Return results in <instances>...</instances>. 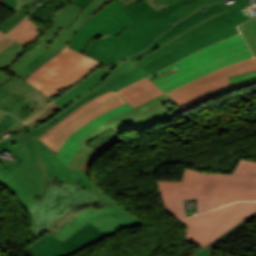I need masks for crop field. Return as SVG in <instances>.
Listing matches in <instances>:
<instances>
[{"label":"crop field","mask_w":256,"mask_h":256,"mask_svg":"<svg viewBox=\"0 0 256 256\" xmlns=\"http://www.w3.org/2000/svg\"><path fill=\"white\" fill-rule=\"evenodd\" d=\"M13 136L28 154H34L43 177L39 201L26 208L32 220L33 237L38 238L47 231L55 236L81 211L90 207L98 210L114 203L104 191L89 182L87 172L68 168L27 129Z\"/></svg>","instance_id":"8a807250"},{"label":"crop field","mask_w":256,"mask_h":256,"mask_svg":"<svg viewBox=\"0 0 256 256\" xmlns=\"http://www.w3.org/2000/svg\"><path fill=\"white\" fill-rule=\"evenodd\" d=\"M256 162L239 159L231 174L185 169L181 182L157 181L163 204L177 219L186 217L183 200L198 199V213L234 201H256Z\"/></svg>","instance_id":"ac0d7876"},{"label":"crop field","mask_w":256,"mask_h":256,"mask_svg":"<svg viewBox=\"0 0 256 256\" xmlns=\"http://www.w3.org/2000/svg\"><path fill=\"white\" fill-rule=\"evenodd\" d=\"M252 57L241 34L213 44L177 62L183 69L154 81L168 92L212 70Z\"/></svg>","instance_id":"34b2d1b8"},{"label":"crop field","mask_w":256,"mask_h":256,"mask_svg":"<svg viewBox=\"0 0 256 256\" xmlns=\"http://www.w3.org/2000/svg\"><path fill=\"white\" fill-rule=\"evenodd\" d=\"M172 25L174 24L168 18L137 19L118 37L108 33L101 39L94 40L85 54L109 65L141 52Z\"/></svg>","instance_id":"412701ff"},{"label":"crop field","mask_w":256,"mask_h":256,"mask_svg":"<svg viewBox=\"0 0 256 256\" xmlns=\"http://www.w3.org/2000/svg\"><path fill=\"white\" fill-rule=\"evenodd\" d=\"M239 33L227 11L189 29L164 45L169 50L143 67L149 74L205 46Z\"/></svg>","instance_id":"f4fd0767"},{"label":"crop field","mask_w":256,"mask_h":256,"mask_svg":"<svg viewBox=\"0 0 256 256\" xmlns=\"http://www.w3.org/2000/svg\"><path fill=\"white\" fill-rule=\"evenodd\" d=\"M98 64V61L65 47L30 75L27 82L49 97L73 84Z\"/></svg>","instance_id":"dd49c442"},{"label":"crop field","mask_w":256,"mask_h":256,"mask_svg":"<svg viewBox=\"0 0 256 256\" xmlns=\"http://www.w3.org/2000/svg\"><path fill=\"white\" fill-rule=\"evenodd\" d=\"M254 210L256 202H238L178 222L186 227L187 241L203 247Z\"/></svg>","instance_id":"e52e79f7"},{"label":"crop field","mask_w":256,"mask_h":256,"mask_svg":"<svg viewBox=\"0 0 256 256\" xmlns=\"http://www.w3.org/2000/svg\"><path fill=\"white\" fill-rule=\"evenodd\" d=\"M166 50L168 49L162 46L160 49H158L157 51H155L154 53H152L151 55L147 56L146 58H144L143 60L139 61L134 65L125 60L113 71H111L110 74L98 87L84 94L83 96L72 102L69 106H67V108L63 110L61 113L57 114L44 124L32 129L29 133L32 134L34 137L38 138L40 135L47 132L59 121H61L64 117H66L68 114L82 106L88 100L98 97L105 92L116 91L123 86H126L146 75H149L140 67H142L144 63L156 58Z\"/></svg>","instance_id":"d8731c3e"},{"label":"crop field","mask_w":256,"mask_h":256,"mask_svg":"<svg viewBox=\"0 0 256 256\" xmlns=\"http://www.w3.org/2000/svg\"><path fill=\"white\" fill-rule=\"evenodd\" d=\"M126 103L116 92L103 94L68 115L39 139L57 154L61 145L71 134L100 115Z\"/></svg>","instance_id":"5a996713"},{"label":"crop field","mask_w":256,"mask_h":256,"mask_svg":"<svg viewBox=\"0 0 256 256\" xmlns=\"http://www.w3.org/2000/svg\"><path fill=\"white\" fill-rule=\"evenodd\" d=\"M253 70H256V62L254 58L219 69L175 89L167 93V95L170 96L179 106L187 110L211 99L206 95L207 93L230 85L231 83L226 79L227 77L247 73Z\"/></svg>","instance_id":"3316defc"},{"label":"crop field","mask_w":256,"mask_h":256,"mask_svg":"<svg viewBox=\"0 0 256 256\" xmlns=\"http://www.w3.org/2000/svg\"><path fill=\"white\" fill-rule=\"evenodd\" d=\"M135 19L137 18L118 0H111L77 30L68 47L81 52L92 37H99L107 32L118 36Z\"/></svg>","instance_id":"28ad6ade"},{"label":"crop field","mask_w":256,"mask_h":256,"mask_svg":"<svg viewBox=\"0 0 256 256\" xmlns=\"http://www.w3.org/2000/svg\"><path fill=\"white\" fill-rule=\"evenodd\" d=\"M50 100L27 82L0 72V110L23 121Z\"/></svg>","instance_id":"d1516ede"},{"label":"crop field","mask_w":256,"mask_h":256,"mask_svg":"<svg viewBox=\"0 0 256 256\" xmlns=\"http://www.w3.org/2000/svg\"><path fill=\"white\" fill-rule=\"evenodd\" d=\"M89 222L109 235L143 224L115 203L99 211L90 208L80 213L68 222L56 237L63 241Z\"/></svg>","instance_id":"22f410ed"},{"label":"crop field","mask_w":256,"mask_h":256,"mask_svg":"<svg viewBox=\"0 0 256 256\" xmlns=\"http://www.w3.org/2000/svg\"><path fill=\"white\" fill-rule=\"evenodd\" d=\"M106 236L89 223L64 242L47 232L28 246L32 256H67Z\"/></svg>","instance_id":"cbeb9de0"},{"label":"crop field","mask_w":256,"mask_h":256,"mask_svg":"<svg viewBox=\"0 0 256 256\" xmlns=\"http://www.w3.org/2000/svg\"><path fill=\"white\" fill-rule=\"evenodd\" d=\"M216 1L219 0H141L126 7L137 18L168 17L175 24L187 15Z\"/></svg>","instance_id":"5142ce71"},{"label":"crop field","mask_w":256,"mask_h":256,"mask_svg":"<svg viewBox=\"0 0 256 256\" xmlns=\"http://www.w3.org/2000/svg\"><path fill=\"white\" fill-rule=\"evenodd\" d=\"M0 186L14 194L25 208L35 203L33 198L42 186V177L34 156L29 155Z\"/></svg>","instance_id":"d9b57169"},{"label":"crop field","mask_w":256,"mask_h":256,"mask_svg":"<svg viewBox=\"0 0 256 256\" xmlns=\"http://www.w3.org/2000/svg\"><path fill=\"white\" fill-rule=\"evenodd\" d=\"M59 30L60 27L56 25L51 26L40 44L35 46L21 59L15 62L13 66L6 70L14 74V77H18L19 79H24L29 74H31L40 65L55 55V53L45 49V47L49 44L53 36L58 33Z\"/></svg>","instance_id":"733c2abd"},{"label":"crop field","mask_w":256,"mask_h":256,"mask_svg":"<svg viewBox=\"0 0 256 256\" xmlns=\"http://www.w3.org/2000/svg\"><path fill=\"white\" fill-rule=\"evenodd\" d=\"M130 109H132V108L128 104H126L122 107H119L115 110H112V111L100 116L99 118H97L93 122L89 123L88 125H86L82 129H80L79 131H77L76 133L71 135L65 141V143L62 145L60 151L57 154L58 157L60 158V160L63 163H65L66 165H68L71 158L79 150V148L83 145V144L79 143L77 140H79L85 134L90 132L96 126H98V125H100V124H102V123H104V122H106V121H108V120H110V119H112V118L130 110Z\"/></svg>","instance_id":"4a817a6b"},{"label":"crop field","mask_w":256,"mask_h":256,"mask_svg":"<svg viewBox=\"0 0 256 256\" xmlns=\"http://www.w3.org/2000/svg\"><path fill=\"white\" fill-rule=\"evenodd\" d=\"M124 60H121L117 63H114V64L102 69V70L97 71L92 76H90L86 80L82 81L80 84H78L72 90H70L68 93L63 95L61 98H59L57 101H55L59 105H61L62 107H60L53 114L49 115L45 120H43V121L39 122L38 124L28 128V131H30L35 126H38V125L44 123L45 121L50 119L55 114L62 111L68 104H70L72 101H74L75 99H77L78 97L83 95L85 92L90 91L92 88L98 86L104 80V78L108 75V73L111 70H113L117 65H119L121 62H123Z\"/></svg>","instance_id":"bc2a9ffb"},{"label":"crop field","mask_w":256,"mask_h":256,"mask_svg":"<svg viewBox=\"0 0 256 256\" xmlns=\"http://www.w3.org/2000/svg\"><path fill=\"white\" fill-rule=\"evenodd\" d=\"M181 112H184V111L181 108H179L170 113L166 108H164L161 105V106L154 108L140 116L137 115L138 117H135L131 120L123 122L111 129L114 130L118 134H120L130 128H134L137 131H140V130L150 127L156 123H159L165 119L175 116Z\"/></svg>","instance_id":"214f88e0"},{"label":"crop field","mask_w":256,"mask_h":256,"mask_svg":"<svg viewBox=\"0 0 256 256\" xmlns=\"http://www.w3.org/2000/svg\"><path fill=\"white\" fill-rule=\"evenodd\" d=\"M205 9L206 10H200L195 14L191 15L190 17L184 19L179 24L172 27L167 33L158 38L156 41L163 45L174 39L179 34L186 32L189 28L205 21L207 18L225 11V8L221 2L205 7Z\"/></svg>","instance_id":"92a150f3"},{"label":"crop field","mask_w":256,"mask_h":256,"mask_svg":"<svg viewBox=\"0 0 256 256\" xmlns=\"http://www.w3.org/2000/svg\"><path fill=\"white\" fill-rule=\"evenodd\" d=\"M117 92L121 97L127 100L133 108L163 94V92L147 78Z\"/></svg>","instance_id":"dafd665d"},{"label":"crop field","mask_w":256,"mask_h":256,"mask_svg":"<svg viewBox=\"0 0 256 256\" xmlns=\"http://www.w3.org/2000/svg\"><path fill=\"white\" fill-rule=\"evenodd\" d=\"M106 1L107 0H93L83 9L67 3L49 22L68 29L79 15L88 18L100 5Z\"/></svg>","instance_id":"00972430"},{"label":"crop field","mask_w":256,"mask_h":256,"mask_svg":"<svg viewBox=\"0 0 256 256\" xmlns=\"http://www.w3.org/2000/svg\"><path fill=\"white\" fill-rule=\"evenodd\" d=\"M169 100H171V99L165 94V95H163V96H161V97H159L155 100H152L148 103H145V104L139 106L138 108H136V109H134V110L122 115V116L116 117V118L104 123L103 125L97 127L95 130H93L92 132L87 134L85 137H83L79 142L84 144L88 140H90L91 138L101 134L102 132L106 131L107 129H109V128H111V127H113V126H115V125H117V124H119L123 121H126L130 118H133L137 115H140V114H142V113H144V112H146V111H148V110H150L154 107H157V106H159V105H161V104H163V103H165Z\"/></svg>","instance_id":"a9b5d70f"},{"label":"crop field","mask_w":256,"mask_h":256,"mask_svg":"<svg viewBox=\"0 0 256 256\" xmlns=\"http://www.w3.org/2000/svg\"><path fill=\"white\" fill-rule=\"evenodd\" d=\"M36 30L37 27L35 24L26 18L21 23H19L8 35L17 42L26 46L37 39L39 33H37Z\"/></svg>","instance_id":"4177f3b9"},{"label":"crop field","mask_w":256,"mask_h":256,"mask_svg":"<svg viewBox=\"0 0 256 256\" xmlns=\"http://www.w3.org/2000/svg\"><path fill=\"white\" fill-rule=\"evenodd\" d=\"M235 2L226 5L223 3L228 13L233 18L236 25L243 23L255 16H250L246 7L252 5L248 0H234ZM253 6V5H252Z\"/></svg>","instance_id":"730fd06b"},{"label":"crop field","mask_w":256,"mask_h":256,"mask_svg":"<svg viewBox=\"0 0 256 256\" xmlns=\"http://www.w3.org/2000/svg\"><path fill=\"white\" fill-rule=\"evenodd\" d=\"M61 3L62 1L60 0H44L31 12L30 15L47 22L53 17V12Z\"/></svg>","instance_id":"eef30255"},{"label":"crop field","mask_w":256,"mask_h":256,"mask_svg":"<svg viewBox=\"0 0 256 256\" xmlns=\"http://www.w3.org/2000/svg\"><path fill=\"white\" fill-rule=\"evenodd\" d=\"M42 0H34L32 3L27 5L26 7H22L20 11L14 13L9 18H7L4 22L0 24V30L3 32H8L11 30L16 24H18L34 7H36Z\"/></svg>","instance_id":"ae1a2a85"},{"label":"crop field","mask_w":256,"mask_h":256,"mask_svg":"<svg viewBox=\"0 0 256 256\" xmlns=\"http://www.w3.org/2000/svg\"><path fill=\"white\" fill-rule=\"evenodd\" d=\"M86 20V18H83L81 16H79L74 23L70 26V28L68 30L62 28L61 32L59 33V35L56 37V39L53 41V43L50 45V47L48 48L51 51L54 52H58L63 45L65 44V42L67 41V39L70 37V35Z\"/></svg>","instance_id":"d3111659"},{"label":"crop field","mask_w":256,"mask_h":256,"mask_svg":"<svg viewBox=\"0 0 256 256\" xmlns=\"http://www.w3.org/2000/svg\"><path fill=\"white\" fill-rule=\"evenodd\" d=\"M238 28L248 43L254 56H256V18L240 25Z\"/></svg>","instance_id":"750c4746"},{"label":"crop field","mask_w":256,"mask_h":256,"mask_svg":"<svg viewBox=\"0 0 256 256\" xmlns=\"http://www.w3.org/2000/svg\"><path fill=\"white\" fill-rule=\"evenodd\" d=\"M25 51V48L19 44L14 43L8 48L4 49L0 52V68H5L8 65L12 64L16 58V56Z\"/></svg>","instance_id":"bd1437ed"},{"label":"crop field","mask_w":256,"mask_h":256,"mask_svg":"<svg viewBox=\"0 0 256 256\" xmlns=\"http://www.w3.org/2000/svg\"><path fill=\"white\" fill-rule=\"evenodd\" d=\"M236 89L256 84V71L228 78ZM247 82V84H246Z\"/></svg>","instance_id":"1d83c4d3"},{"label":"crop field","mask_w":256,"mask_h":256,"mask_svg":"<svg viewBox=\"0 0 256 256\" xmlns=\"http://www.w3.org/2000/svg\"><path fill=\"white\" fill-rule=\"evenodd\" d=\"M94 152V149L88 148L86 146H82L80 150L76 153V155L71 160L68 167L80 170L83 163L88 159V157Z\"/></svg>","instance_id":"120bbe31"},{"label":"crop field","mask_w":256,"mask_h":256,"mask_svg":"<svg viewBox=\"0 0 256 256\" xmlns=\"http://www.w3.org/2000/svg\"><path fill=\"white\" fill-rule=\"evenodd\" d=\"M32 1L33 0H3L0 2V5L16 12L17 10L21 9Z\"/></svg>","instance_id":"d32e631a"},{"label":"crop field","mask_w":256,"mask_h":256,"mask_svg":"<svg viewBox=\"0 0 256 256\" xmlns=\"http://www.w3.org/2000/svg\"><path fill=\"white\" fill-rule=\"evenodd\" d=\"M161 45L158 43V42H154L152 44V46L147 49L145 52L139 54V55H135V56H132L130 58H128L127 60L129 62H131L132 64L135 63V62H138L139 60L143 59L144 57H146L147 55H149L150 53L154 52L156 49H158Z\"/></svg>","instance_id":"5866460e"},{"label":"crop field","mask_w":256,"mask_h":256,"mask_svg":"<svg viewBox=\"0 0 256 256\" xmlns=\"http://www.w3.org/2000/svg\"><path fill=\"white\" fill-rule=\"evenodd\" d=\"M60 106L57 103H53L52 105H50L40 116H38L36 119L30 121L29 123H27L26 125L29 127L43 119H45L50 113L54 112L55 110H57Z\"/></svg>","instance_id":"028f5c9d"},{"label":"crop field","mask_w":256,"mask_h":256,"mask_svg":"<svg viewBox=\"0 0 256 256\" xmlns=\"http://www.w3.org/2000/svg\"><path fill=\"white\" fill-rule=\"evenodd\" d=\"M17 120L18 119L14 118L8 114L0 123V131L4 130L6 128H9Z\"/></svg>","instance_id":"e1f06a70"},{"label":"crop field","mask_w":256,"mask_h":256,"mask_svg":"<svg viewBox=\"0 0 256 256\" xmlns=\"http://www.w3.org/2000/svg\"><path fill=\"white\" fill-rule=\"evenodd\" d=\"M8 142V146L14 150L16 153L19 152L21 149H23L20 144L15 140V138L12 136L10 138L6 139Z\"/></svg>","instance_id":"0bd39190"},{"label":"crop field","mask_w":256,"mask_h":256,"mask_svg":"<svg viewBox=\"0 0 256 256\" xmlns=\"http://www.w3.org/2000/svg\"><path fill=\"white\" fill-rule=\"evenodd\" d=\"M102 153L98 152L95 150V152L90 156V158L85 162L82 170L88 171V168L90 166V164L101 155Z\"/></svg>","instance_id":"b80d0937"},{"label":"crop field","mask_w":256,"mask_h":256,"mask_svg":"<svg viewBox=\"0 0 256 256\" xmlns=\"http://www.w3.org/2000/svg\"><path fill=\"white\" fill-rule=\"evenodd\" d=\"M14 42H16V41L11 39L9 36H7V35L4 36L2 39H0V50L8 47L9 45H11Z\"/></svg>","instance_id":"c035e120"},{"label":"crop field","mask_w":256,"mask_h":256,"mask_svg":"<svg viewBox=\"0 0 256 256\" xmlns=\"http://www.w3.org/2000/svg\"><path fill=\"white\" fill-rule=\"evenodd\" d=\"M213 253H214V250L205 248L200 252H198L197 254H195L194 256H212Z\"/></svg>","instance_id":"c21b1889"},{"label":"crop field","mask_w":256,"mask_h":256,"mask_svg":"<svg viewBox=\"0 0 256 256\" xmlns=\"http://www.w3.org/2000/svg\"><path fill=\"white\" fill-rule=\"evenodd\" d=\"M15 169V167H13L10 171H6V170H2L0 169V183L6 179L11 173L12 171Z\"/></svg>","instance_id":"03da06ac"},{"label":"crop field","mask_w":256,"mask_h":256,"mask_svg":"<svg viewBox=\"0 0 256 256\" xmlns=\"http://www.w3.org/2000/svg\"><path fill=\"white\" fill-rule=\"evenodd\" d=\"M53 101L51 100L48 104H46L45 106H43L41 109H39L37 112H35L33 115H31L29 118H27L24 122H27L29 120H31L32 118L36 117L37 115H39L50 103H52Z\"/></svg>","instance_id":"b54c1fbb"},{"label":"crop field","mask_w":256,"mask_h":256,"mask_svg":"<svg viewBox=\"0 0 256 256\" xmlns=\"http://www.w3.org/2000/svg\"><path fill=\"white\" fill-rule=\"evenodd\" d=\"M92 0H74V1H72L71 3H74V4H76V5H78V6H80V7H84V6H86L88 3H90Z\"/></svg>","instance_id":"5d738f31"},{"label":"crop field","mask_w":256,"mask_h":256,"mask_svg":"<svg viewBox=\"0 0 256 256\" xmlns=\"http://www.w3.org/2000/svg\"><path fill=\"white\" fill-rule=\"evenodd\" d=\"M123 5H128V4H132V3H135L139 0H119Z\"/></svg>","instance_id":"d23c7cc5"},{"label":"crop field","mask_w":256,"mask_h":256,"mask_svg":"<svg viewBox=\"0 0 256 256\" xmlns=\"http://www.w3.org/2000/svg\"><path fill=\"white\" fill-rule=\"evenodd\" d=\"M175 66H177L176 63L170 65L168 68H166V69H164V70H162V71H159V72H157V73H155V74H153V75H151V76H148V78H150V77H152V76H155V75H157V74H159V73H162V72H164V71H166V70H168V69H170V68H173V67H175Z\"/></svg>","instance_id":"425ffa30"},{"label":"crop field","mask_w":256,"mask_h":256,"mask_svg":"<svg viewBox=\"0 0 256 256\" xmlns=\"http://www.w3.org/2000/svg\"><path fill=\"white\" fill-rule=\"evenodd\" d=\"M23 123H21L19 120L15 123V124H13L9 129H11V130H14L15 128H17V127H19L20 125H22ZM6 131V130H5ZM4 131V132H5ZM1 133H3V132H1ZM1 140V139H0Z\"/></svg>","instance_id":"25e5ab78"},{"label":"crop field","mask_w":256,"mask_h":256,"mask_svg":"<svg viewBox=\"0 0 256 256\" xmlns=\"http://www.w3.org/2000/svg\"><path fill=\"white\" fill-rule=\"evenodd\" d=\"M7 115L5 112L0 111V121Z\"/></svg>","instance_id":"73cf0c24"},{"label":"crop field","mask_w":256,"mask_h":256,"mask_svg":"<svg viewBox=\"0 0 256 256\" xmlns=\"http://www.w3.org/2000/svg\"><path fill=\"white\" fill-rule=\"evenodd\" d=\"M26 128H27V126L24 125V126L19 127L18 130L22 131V130H24V129H26Z\"/></svg>","instance_id":"89e229c0"},{"label":"crop field","mask_w":256,"mask_h":256,"mask_svg":"<svg viewBox=\"0 0 256 256\" xmlns=\"http://www.w3.org/2000/svg\"><path fill=\"white\" fill-rule=\"evenodd\" d=\"M4 35H5V33H3V32L0 31V38H1L2 36H4Z\"/></svg>","instance_id":"1f2cbd36"},{"label":"crop field","mask_w":256,"mask_h":256,"mask_svg":"<svg viewBox=\"0 0 256 256\" xmlns=\"http://www.w3.org/2000/svg\"><path fill=\"white\" fill-rule=\"evenodd\" d=\"M254 174H256V170L254 171Z\"/></svg>","instance_id":"dbb93151"},{"label":"crop field","mask_w":256,"mask_h":256,"mask_svg":"<svg viewBox=\"0 0 256 256\" xmlns=\"http://www.w3.org/2000/svg\"><path fill=\"white\" fill-rule=\"evenodd\" d=\"M256 59V58H255Z\"/></svg>","instance_id":"0fb4a251"},{"label":"crop field","mask_w":256,"mask_h":256,"mask_svg":"<svg viewBox=\"0 0 256 256\" xmlns=\"http://www.w3.org/2000/svg\"><path fill=\"white\" fill-rule=\"evenodd\" d=\"M1 1V0H0Z\"/></svg>","instance_id":"1d79db26"}]
</instances>
